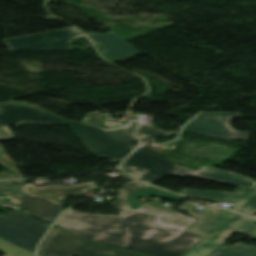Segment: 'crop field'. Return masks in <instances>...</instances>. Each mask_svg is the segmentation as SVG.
I'll use <instances>...</instances> for the list:
<instances>
[{"instance_id":"3316defc","label":"crop field","mask_w":256,"mask_h":256,"mask_svg":"<svg viewBox=\"0 0 256 256\" xmlns=\"http://www.w3.org/2000/svg\"><path fill=\"white\" fill-rule=\"evenodd\" d=\"M172 174L202 177L218 182H223L239 187H247L251 189H254V187L256 186V182L249 180L247 177L213 167H201L198 171H196L189 168H185L183 166H179Z\"/></svg>"},{"instance_id":"dd49c442","label":"crop field","mask_w":256,"mask_h":256,"mask_svg":"<svg viewBox=\"0 0 256 256\" xmlns=\"http://www.w3.org/2000/svg\"><path fill=\"white\" fill-rule=\"evenodd\" d=\"M176 164L157 155L137 150L125 163L122 172H145L138 180L151 185L168 175Z\"/></svg>"},{"instance_id":"cbeb9de0","label":"crop field","mask_w":256,"mask_h":256,"mask_svg":"<svg viewBox=\"0 0 256 256\" xmlns=\"http://www.w3.org/2000/svg\"><path fill=\"white\" fill-rule=\"evenodd\" d=\"M23 185L3 186L0 185V205L19 209Z\"/></svg>"},{"instance_id":"00972430","label":"crop field","mask_w":256,"mask_h":256,"mask_svg":"<svg viewBox=\"0 0 256 256\" xmlns=\"http://www.w3.org/2000/svg\"><path fill=\"white\" fill-rule=\"evenodd\" d=\"M255 239H256V233H254Z\"/></svg>"},{"instance_id":"733c2abd","label":"crop field","mask_w":256,"mask_h":256,"mask_svg":"<svg viewBox=\"0 0 256 256\" xmlns=\"http://www.w3.org/2000/svg\"><path fill=\"white\" fill-rule=\"evenodd\" d=\"M0 251L5 253V256H33V252L15 246L0 238Z\"/></svg>"},{"instance_id":"28ad6ade","label":"crop field","mask_w":256,"mask_h":256,"mask_svg":"<svg viewBox=\"0 0 256 256\" xmlns=\"http://www.w3.org/2000/svg\"><path fill=\"white\" fill-rule=\"evenodd\" d=\"M181 194L225 201L233 205L230 210L239 212L245 202H256V190L254 192L238 188L235 192L221 191H197L190 188L180 191Z\"/></svg>"},{"instance_id":"92a150f3","label":"crop field","mask_w":256,"mask_h":256,"mask_svg":"<svg viewBox=\"0 0 256 256\" xmlns=\"http://www.w3.org/2000/svg\"><path fill=\"white\" fill-rule=\"evenodd\" d=\"M231 118L232 117H216V118H214V120L225 124V123H229Z\"/></svg>"},{"instance_id":"d1516ede","label":"crop field","mask_w":256,"mask_h":256,"mask_svg":"<svg viewBox=\"0 0 256 256\" xmlns=\"http://www.w3.org/2000/svg\"><path fill=\"white\" fill-rule=\"evenodd\" d=\"M92 37L104 50L105 55L113 59H121L139 52L133 46L110 33L106 35L87 34Z\"/></svg>"},{"instance_id":"d9b57169","label":"crop field","mask_w":256,"mask_h":256,"mask_svg":"<svg viewBox=\"0 0 256 256\" xmlns=\"http://www.w3.org/2000/svg\"><path fill=\"white\" fill-rule=\"evenodd\" d=\"M151 195L170 198V199H175V200H178V199L182 198V196H179V195H176V194H173V193H170V192H167V191L149 186V187H147L143 190H140L138 192H135V193L131 194L128 200L131 202L133 209H137L142 204L141 202L136 201L137 198L139 196L147 198Z\"/></svg>"},{"instance_id":"8a807250","label":"crop field","mask_w":256,"mask_h":256,"mask_svg":"<svg viewBox=\"0 0 256 256\" xmlns=\"http://www.w3.org/2000/svg\"><path fill=\"white\" fill-rule=\"evenodd\" d=\"M147 186L135 181L119 190L113 205L120 216L82 214L71 209L56 224L95 242L152 256H181L202 238L184 230L196 218L144 204L132 210L129 195Z\"/></svg>"},{"instance_id":"f4fd0767","label":"crop field","mask_w":256,"mask_h":256,"mask_svg":"<svg viewBox=\"0 0 256 256\" xmlns=\"http://www.w3.org/2000/svg\"><path fill=\"white\" fill-rule=\"evenodd\" d=\"M6 212L10 213L0 217V237L34 252L38 241L50 224L35 220L22 213Z\"/></svg>"},{"instance_id":"34b2d1b8","label":"crop field","mask_w":256,"mask_h":256,"mask_svg":"<svg viewBox=\"0 0 256 256\" xmlns=\"http://www.w3.org/2000/svg\"><path fill=\"white\" fill-rule=\"evenodd\" d=\"M179 208L188 211L192 216L199 218L186 230L204 236L183 256H208L234 232L253 233L256 231V225L252 224L255 219L239 215L236 219L231 220L218 235L216 239L223 241L219 242L213 239L222 230L225 223L234 217L236 213L215 206L201 210L197 214H193V208L185 206H179Z\"/></svg>"},{"instance_id":"5142ce71","label":"crop field","mask_w":256,"mask_h":256,"mask_svg":"<svg viewBox=\"0 0 256 256\" xmlns=\"http://www.w3.org/2000/svg\"><path fill=\"white\" fill-rule=\"evenodd\" d=\"M210 256H256V246L236 244L232 247L222 245Z\"/></svg>"},{"instance_id":"d8731c3e","label":"crop field","mask_w":256,"mask_h":256,"mask_svg":"<svg viewBox=\"0 0 256 256\" xmlns=\"http://www.w3.org/2000/svg\"><path fill=\"white\" fill-rule=\"evenodd\" d=\"M216 116L241 117V114L233 112H225L219 114L208 113L191 122L184 129L218 137L221 139L236 138L245 140L249 137V132H238L231 128L230 123L223 125L221 123L212 121V119Z\"/></svg>"},{"instance_id":"214f88e0","label":"crop field","mask_w":256,"mask_h":256,"mask_svg":"<svg viewBox=\"0 0 256 256\" xmlns=\"http://www.w3.org/2000/svg\"><path fill=\"white\" fill-rule=\"evenodd\" d=\"M255 211H256V203L255 204H247L246 207L243 209L242 213L253 217V214Z\"/></svg>"},{"instance_id":"4177f3b9","label":"crop field","mask_w":256,"mask_h":256,"mask_svg":"<svg viewBox=\"0 0 256 256\" xmlns=\"http://www.w3.org/2000/svg\"><path fill=\"white\" fill-rule=\"evenodd\" d=\"M256 222V221H255Z\"/></svg>"},{"instance_id":"22f410ed","label":"crop field","mask_w":256,"mask_h":256,"mask_svg":"<svg viewBox=\"0 0 256 256\" xmlns=\"http://www.w3.org/2000/svg\"><path fill=\"white\" fill-rule=\"evenodd\" d=\"M97 187L94 182L83 183L77 186H68V187H60V186H46L44 188L35 187L33 184H25V188L23 192L27 193H35L41 194L48 197H54L56 199H63L67 195L73 194H85L86 189ZM27 188H33V191L28 190Z\"/></svg>"},{"instance_id":"dafd665d","label":"crop field","mask_w":256,"mask_h":256,"mask_svg":"<svg viewBox=\"0 0 256 256\" xmlns=\"http://www.w3.org/2000/svg\"><path fill=\"white\" fill-rule=\"evenodd\" d=\"M143 173H133V174H127L129 176L135 177V178H139Z\"/></svg>"},{"instance_id":"412701ff","label":"crop field","mask_w":256,"mask_h":256,"mask_svg":"<svg viewBox=\"0 0 256 256\" xmlns=\"http://www.w3.org/2000/svg\"><path fill=\"white\" fill-rule=\"evenodd\" d=\"M144 256L96 245L54 226L39 248L38 256Z\"/></svg>"},{"instance_id":"4a817a6b","label":"crop field","mask_w":256,"mask_h":256,"mask_svg":"<svg viewBox=\"0 0 256 256\" xmlns=\"http://www.w3.org/2000/svg\"><path fill=\"white\" fill-rule=\"evenodd\" d=\"M170 134H175V132H165L157 128L141 125L140 129L136 133V136H139L138 138L141 139V138H146L151 136H166Z\"/></svg>"},{"instance_id":"5a996713","label":"crop field","mask_w":256,"mask_h":256,"mask_svg":"<svg viewBox=\"0 0 256 256\" xmlns=\"http://www.w3.org/2000/svg\"><path fill=\"white\" fill-rule=\"evenodd\" d=\"M65 206L52 198L23 193L19 211L52 223Z\"/></svg>"},{"instance_id":"e52e79f7","label":"crop field","mask_w":256,"mask_h":256,"mask_svg":"<svg viewBox=\"0 0 256 256\" xmlns=\"http://www.w3.org/2000/svg\"><path fill=\"white\" fill-rule=\"evenodd\" d=\"M82 35L75 28H70L3 42L12 52L21 49H72L71 40Z\"/></svg>"},{"instance_id":"a9b5d70f","label":"crop field","mask_w":256,"mask_h":256,"mask_svg":"<svg viewBox=\"0 0 256 256\" xmlns=\"http://www.w3.org/2000/svg\"><path fill=\"white\" fill-rule=\"evenodd\" d=\"M245 205H246V204H245ZM244 207H245V206H244ZM244 207H243V208H244ZM243 208H242V209H243ZM242 209H241V210H242ZM240 212H241V211H240Z\"/></svg>"},{"instance_id":"ac0d7876","label":"crop field","mask_w":256,"mask_h":256,"mask_svg":"<svg viewBox=\"0 0 256 256\" xmlns=\"http://www.w3.org/2000/svg\"><path fill=\"white\" fill-rule=\"evenodd\" d=\"M0 139L13 140L8 126H20L21 122L49 125H70L92 153L121 160L135 142L132 132L138 122H131L126 129L106 130L96 126L64 121L38 108L17 103L0 105Z\"/></svg>"},{"instance_id":"bc2a9ffb","label":"crop field","mask_w":256,"mask_h":256,"mask_svg":"<svg viewBox=\"0 0 256 256\" xmlns=\"http://www.w3.org/2000/svg\"><path fill=\"white\" fill-rule=\"evenodd\" d=\"M105 114L101 112H96L93 114H89L86 116L83 122L86 123H94V124H100L101 120L103 119Z\"/></svg>"}]
</instances>
